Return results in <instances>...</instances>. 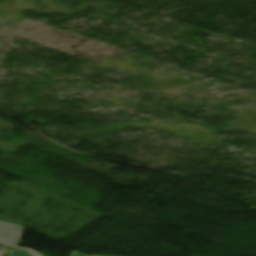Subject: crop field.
Returning a JSON list of instances; mask_svg holds the SVG:
<instances>
[{
	"mask_svg": "<svg viewBox=\"0 0 256 256\" xmlns=\"http://www.w3.org/2000/svg\"><path fill=\"white\" fill-rule=\"evenodd\" d=\"M11 256H37V255L33 254L30 251H25V250L15 248Z\"/></svg>",
	"mask_w": 256,
	"mask_h": 256,
	"instance_id": "crop-field-2",
	"label": "crop field"
},
{
	"mask_svg": "<svg viewBox=\"0 0 256 256\" xmlns=\"http://www.w3.org/2000/svg\"><path fill=\"white\" fill-rule=\"evenodd\" d=\"M11 253H12V250L0 247V256H10Z\"/></svg>",
	"mask_w": 256,
	"mask_h": 256,
	"instance_id": "crop-field-3",
	"label": "crop field"
},
{
	"mask_svg": "<svg viewBox=\"0 0 256 256\" xmlns=\"http://www.w3.org/2000/svg\"><path fill=\"white\" fill-rule=\"evenodd\" d=\"M23 227L0 222V244L17 246L22 240Z\"/></svg>",
	"mask_w": 256,
	"mask_h": 256,
	"instance_id": "crop-field-1",
	"label": "crop field"
},
{
	"mask_svg": "<svg viewBox=\"0 0 256 256\" xmlns=\"http://www.w3.org/2000/svg\"><path fill=\"white\" fill-rule=\"evenodd\" d=\"M71 256H84V255L77 252H72ZM94 256H112V255H94Z\"/></svg>",
	"mask_w": 256,
	"mask_h": 256,
	"instance_id": "crop-field-4",
	"label": "crop field"
}]
</instances>
